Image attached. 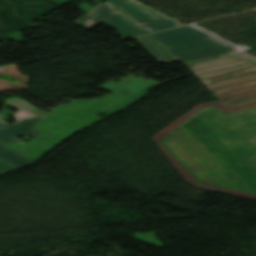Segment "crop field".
<instances>
[{
	"label": "crop field",
	"mask_w": 256,
	"mask_h": 256,
	"mask_svg": "<svg viewBox=\"0 0 256 256\" xmlns=\"http://www.w3.org/2000/svg\"><path fill=\"white\" fill-rule=\"evenodd\" d=\"M186 65L227 108L256 101V64L224 54Z\"/></svg>",
	"instance_id": "crop-field-1"
},
{
	"label": "crop field",
	"mask_w": 256,
	"mask_h": 256,
	"mask_svg": "<svg viewBox=\"0 0 256 256\" xmlns=\"http://www.w3.org/2000/svg\"><path fill=\"white\" fill-rule=\"evenodd\" d=\"M9 104L15 106L19 109V112L14 114L7 110ZM7 112L13 114L16 116L15 120H18L14 124L8 125L5 120L7 117ZM40 115H47L44 112L38 110L37 108L33 107L32 105L26 103L25 101L21 99H15L12 98L10 100L6 101V105L3 110V114L1 116L0 120V141L4 144L8 145L14 141L23 143V141L17 139L16 137L26 134L30 135L34 139L37 138L36 135L39 133L33 129L36 122L40 121L42 118L46 116H40ZM34 116H40L35 118H29ZM29 118V119H26ZM0 158L3 160L21 168L23 166H26L31 161L25 159L24 157L4 148L0 145Z\"/></svg>",
	"instance_id": "crop-field-2"
},
{
	"label": "crop field",
	"mask_w": 256,
	"mask_h": 256,
	"mask_svg": "<svg viewBox=\"0 0 256 256\" xmlns=\"http://www.w3.org/2000/svg\"><path fill=\"white\" fill-rule=\"evenodd\" d=\"M235 47L215 41L214 37L190 42L186 44L176 45L172 47H165L164 49L175 59L178 61H181L183 63L208 58L224 53H230L232 55H235L237 57H244L254 63H256V57L244 53V54H238L233 52V49Z\"/></svg>",
	"instance_id": "crop-field-3"
},
{
	"label": "crop field",
	"mask_w": 256,
	"mask_h": 256,
	"mask_svg": "<svg viewBox=\"0 0 256 256\" xmlns=\"http://www.w3.org/2000/svg\"><path fill=\"white\" fill-rule=\"evenodd\" d=\"M113 8L114 7L107 2L84 17L76 20L74 23L88 29L100 23H105L119 31L123 38L143 34L141 30L133 26L119 11L113 12Z\"/></svg>",
	"instance_id": "crop-field-4"
},
{
	"label": "crop field",
	"mask_w": 256,
	"mask_h": 256,
	"mask_svg": "<svg viewBox=\"0 0 256 256\" xmlns=\"http://www.w3.org/2000/svg\"><path fill=\"white\" fill-rule=\"evenodd\" d=\"M134 24L141 27L151 22L167 17V15L137 1V0H110Z\"/></svg>",
	"instance_id": "crop-field-5"
},
{
	"label": "crop field",
	"mask_w": 256,
	"mask_h": 256,
	"mask_svg": "<svg viewBox=\"0 0 256 256\" xmlns=\"http://www.w3.org/2000/svg\"><path fill=\"white\" fill-rule=\"evenodd\" d=\"M152 36L157 40V42L162 47L172 46L176 44L186 43V42L210 37L209 35L191 26L152 34Z\"/></svg>",
	"instance_id": "crop-field-6"
},
{
	"label": "crop field",
	"mask_w": 256,
	"mask_h": 256,
	"mask_svg": "<svg viewBox=\"0 0 256 256\" xmlns=\"http://www.w3.org/2000/svg\"><path fill=\"white\" fill-rule=\"evenodd\" d=\"M137 39L159 60L160 63L169 64L175 62L149 35Z\"/></svg>",
	"instance_id": "crop-field-7"
},
{
	"label": "crop field",
	"mask_w": 256,
	"mask_h": 256,
	"mask_svg": "<svg viewBox=\"0 0 256 256\" xmlns=\"http://www.w3.org/2000/svg\"><path fill=\"white\" fill-rule=\"evenodd\" d=\"M177 23H179L176 19H173L171 17H167L165 19L159 20L157 22L151 23L149 25L141 27V29L151 33L167 28L176 27Z\"/></svg>",
	"instance_id": "crop-field-8"
},
{
	"label": "crop field",
	"mask_w": 256,
	"mask_h": 256,
	"mask_svg": "<svg viewBox=\"0 0 256 256\" xmlns=\"http://www.w3.org/2000/svg\"><path fill=\"white\" fill-rule=\"evenodd\" d=\"M15 169L14 167L0 161V174Z\"/></svg>",
	"instance_id": "crop-field-9"
},
{
	"label": "crop field",
	"mask_w": 256,
	"mask_h": 256,
	"mask_svg": "<svg viewBox=\"0 0 256 256\" xmlns=\"http://www.w3.org/2000/svg\"><path fill=\"white\" fill-rule=\"evenodd\" d=\"M56 1H58V2H60V3H62V4H64V3H66V2H68V1H70V0H56Z\"/></svg>",
	"instance_id": "crop-field-10"
}]
</instances>
